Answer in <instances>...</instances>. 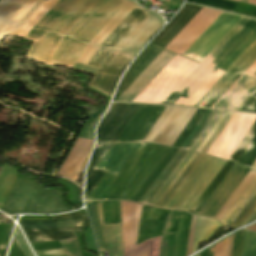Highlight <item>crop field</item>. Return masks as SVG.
I'll use <instances>...</instances> for the list:
<instances>
[{"label": "crop field", "instance_id": "1", "mask_svg": "<svg viewBox=\"0 0 256 256\" xmlns=\"http://www.w3.org/2000/svg\"><path fill=\"white\" fill-rule=\"evenodd\" d=\"M63 0L30 30L26 57L72 68L86 44L125 0Z\"/></svg>", "mask_w": 256, "mask_h": 256}, {"label": "crop field", "instance_id": "2", "mask_svg": "<svg viewBox=\"0 0 256 256\" xmlns=\"http://www.w3.org/2000/svg\"><path fill=\"white\" fill-rule=\"evenodd\" d=\"M168 147L140 144L117 175L106 172L86 199L130 200L168 151Z\"/></svg>", "mask_w": 256, "mask_h": 256}, {"label": "crop field", "instance_id": "3", "mask_svg": "<svg viewBox=\"0 0 256 256\" xmlns=\"http://www.w3.org/2000/svg\"><path fill=\"white\" fill-rule=\"evenodd\" d=\"M162 25L163 22L160 17L146 11L114 47L112 52L133 59L136 53L151 39ZM112 52L103 61L95 78L89 84L108 96H111L119 76L131 61V59Z\"/></svg>", "mask_w": 256, "mask_h": 256}, {"label": "crop field", "instance_id": "4", "mask_svg": "<svg viewBox=\"0 0 256 256\" xmlns=\"http://www.w3.org/2000/svg\"><path fill=\"white\" fill-rule=\"evenodd\" d=\"M256 28V20L243 17L237 25L222 39V41L178 86L174 93L189 99L191 95L207 80L226 58L250 35ZM212 63V64H211ZM215 67L213 69V67ZM213 69V71H211ZM172 93L163 103L174 104L180 97Z\"/></svg>", "mask_w": 256, "mask_h": 256}, {"label": "crop field", "instance_id": "5", "mask_svg": "<svg viewBox=\"0 0 256 256\" xmlns=\"http://www.w3.org/2000/svg\"><path fill=\"white\" fill-rule=\"evenodd\" d=\"M135 6V4L126 1L107 22V24L102 28V30L87 44L77 62L88 65L96 51L112 34V32L119 26V24L126 18V16L133 10ZM144 12L145 10L136 6L134 10L127 16V18L120 24V26L113 32V34L97 51V53L94 55L91 62L89 63V66L99 68L100 64L111 51V49L134 25V23L142 16Z\"/></svg>", "mask_w": 256, "mask_h": 256}, {"label": "crop field", "instance_id": "6", "mask_svg": "<svg viewBox=\"0 0 256 256\" xmlns=\"http://www.w3.org/2000/svg\"><path fill=\"white\" fill-rule=\"evenodd\" d=\"M29 241H53L76 237L74 232L85 227L79 212L52 216V220H19Z\"/></svg>", "mask_w": 256, "mask_h": 256}, {"label": "crop field", "instance_id": "7", "mask_svg": "<svg viewBox=\"0 0 256 256\" xmlns=\"http://www.w3.org/2000/svg\"><path fill=\"white\" fill-rule=\"evenodd\" d=\"M224 163V161L204 155L165 209L188 211Z\"/></svg>", "mask_w": 256, "mask_h": 256}, {"label": "crop field", "instance_id": "8", "mask_svg": "<svg viewBox=\"0 0 256 256\" xmlns=\"http://www.w3.org/2000/svg\"><path fill=\"white\" fill-rule=\"evenodd\" d=\"M197 109L167 106L143 142L172 146Z\"/></svg>", "mask_w": 256, "mask_h": 256}, {"label": "crop field", "instance_id": "9", "mask_svg": "<svg viewBox=\"0 0 256 256\" xmlns=\"http://www.w3.org/2000/svg\"><path fill=\"white\" fill-rule=\"evenodd\" d=\"M192 214L170 211L161 239L159 256H185Z\"/></svg>", "mask_w": 256, "mask_h": 256}, {"label": "crop field", "instance_id": "10", "mask_svg": "<svg viewBox=\"0 0 256 256\" xmlns=\"http://www.w3.org/2000/svg\"><path fill=\"white\" fill-rule=\"evenodd\" d=\"M45 0H1L0 41L7 34L15 36Z\"/></svg>", "mask_w": 256, "mask_h": 256}, {"label": "crop field", "instance_id": "11", "mask_svg": "<svg viewBox=\"0 0 256 256\" xmlns=\"http://www.w3.org/2000/svg\"><path fill=\"white\" fill-rule=\"evenodd\" d=\"M241 18L239 15L222 12L183 56L199 63Z\"/></svg>", "mask_w": 256, "mask_h": 256}, {"label": "crop field", "instance_id": "12", "mask_svg": "<svg viewBox=\"0 0 256 256\" xmlns=\"http://www.w3.org/2000/svg\"><path fill=\"white\" fill-rule=\"evenodd\" d=\"M255 119L253 114L235 113L207 155L227 160Z\"/></svg>", "mask_w": 256, "mask_h": 256}, {"label": "crop field", "instance_id": "13", "mask_svg": "<svg viewBox=\"0 0 256 256\" xmlns=\"http://www.w3.org/2000/svg\"><path fill=\"white\" fill-rule=\"evenodd\" d=\"M255 60L256 41L218 80V82L202 97V99L195 106L201 107L199 106L200 104H202L203 102H207L203 107L211 108Z\"/></svg>", "mask_w": 256, "mask_h": 256}, {"label": "crop field", "instance_id": "14", "mask_svg": "<svg viewBox=\"0 0 256 256\" xmlns=\"http://www.w3.org/2000/svg\"><path fill=\"white\" fill-rule=\"evenodd\" d=\"M249 171L250 169L234 164L198 214L214 218Z\"/></svg>", "mask_w": 256, "mask_h": 256}, {"label": "crop field", "instance_id": "15", "mask_svg": "<svg viewBox=\"0 0 256 256\" xmlns=\"http://www.w3.org/2000/svg\"><path fill=\"white\" fill-rule=\"evenodd\" d=\"M165 108L140 105L115 142H142Z\"/></svg>", "mask_w": 256, "mask_h": 256}, {"label": "crop field", "instance_id": "16", "mask_svg": "<svg viewBox=\"0 0 256 256\" xmlns=\"http://www.w3.org/2000/svg\"><path fill=\"white\" fill-rule=\"evenodd\" d=\"M139 105L112 103L97 130V142H114Z\"/></svg>", "mask_w": 256, "mask_h": 256}, {"label": "crop field", "instance_id": "17", "mask_svg": "<svg viewBox=\"0 0 256 256\" xmlns=\"http://www.w3.org/2000/svg\"><path fill=\"white\" fill-rule=\"evenodd\" d=\"M220 13V11L204 8L166 50L178 55L182 54Z\"/></svg>", "mask_w": 256, "mask_h": 256}, {"label": "crop field", "instance_id": "18", "mask_svg": "<svg viewBox=\"0 0 256 256\" xmlns=\"http://www.w3.org/2000/svg\"><path fill=\"white\" fill-rule=\"evenodd\" d=\"M245 73L256 78L252 74ZM246 74L237 81L213 108L236 110L244 102L256 89V79Z\"/></svg>", "mask_w": 256, "mask_h": 256}, {"label": "crop field", "instance_id": "19", "mask_svg": "<svg viewBox=\"0 0 256 256\" xmlns=\"http://www.w3.org/2000/svg\"><path fill=\"white\" fill-rule=\"evenodd\" d=\"M201 9L202 7L185 4L176 17L151 43L164 48Z\"/></svg>", "mask_w": 256, "mask_h": 256}, {"label": "crop field", "instance_id": "20", "mask_svg": "<svg viewBox=\"0 0 256 256\" xmlns=\"http://www.w3.org/2000/svg\"><path fill=\"white\" fill-rule=\"evenodd\" d=\"M162 49L149 44L137 57L122 79L113 101L141 74V72L156 58Z\"/></svg>", "mask_w": 256, "mask_h": 256}, {"label": "crop field", "instance_id": "21", "mask_svg": "<svg viewBox=\"0 0 256 256\" xmlns=\"http://www.w3.org/2000/svg\"><path fill=\"white\" fill-rule=\"evenodd\" d=\"M139 144H113L97 168L117 174Z\"/></svg>", "mask_w": 256, "mask_h": 256}, {"label": "crop field", "instance_id": "22", "mask_svg": "<svg viewBox=\"0 0 256 256\" xmlns=\"http://www.w3.org/2000/svg\"><path fill=\"white\" fill-rule=\"evenodd\" d=\"M98 207L99 219L102 227L103 237L108 250V256H123L120 224L103 225L100 202H98Z\"/></svg>", "mask_w": 256, "mask_h": 256}, {"label": "crop field", "instance_id": "23", "mask_svg": "<svg viewBox=\"0 0 256 256\" xmlns=\"http://www.w3.org/2000/svg\"><path fill=\"white\" fill-rule=\"evenodd\" d=\"M111 145L112 144H97L92 154L87 171L85 198L105 173V171H102L95 167L105 155V153L108 151V149L111 147Z\"/></svg>", "mask_w": 256, "mask_h": 256}, {"label": "crop field", "instance_id": "24", "mask_svg": "<svg viewBox=\"0 0 256 256\" xmlns=\"http://www.w3.org/2000/svg\"><path fill=\"white\" fill-rule=\"evenodd\" d=\"M202 156V154H194V156L191 158V160L188 162V164L185 166V168L182 170V172L179 174L176 180L172 183V185L169 187V189L157 203V207H165V205L168 203V201L171 199V197L174 195V193L177 191V189L180 187L183 181L187 178V176L190 174V172L202 158Z\"/></svg>", "mask_w": 256, "mask_h": 256}, {"label": "crop field", "instance_id": "25", "mask_svg": "<svg viewBox=\"0 0 256 256\" xmlns=\"http://www.w3.org/2000/svg\"><path fill=\"white\" fill-rule=\"evenodd\" d=\"M178 149L170 148L166 155L162 158L156 168L152 171L149 177L145 180L139 190L132 197L131 201L138 202L142 195L146 192L149 186L153 183L156 177L160 174L163 168L167 165L170 159L174 156Z\"/></svg>", "mask_w": 256, "mask_h": 256}, {"label": "crop field", "instance_id": "26", "mask_svg": "<svg viewBox=\"0 0 256 256\" xmlns=\"http://www.w3.org/2000/svg\"><path fill=\"white\" fill-rule=\"evenodd\" d=\"M193 154L194 152H186V154L183 156V158L180 160V162L177 164V166L174 168V170L171 172L168 178L164 181V183L161 185V187L149 201L148 205H156V203L159 201V199L162 197V195L165 193V191L168 189V187L171 185L174 179L178 176V174L181 172V170L193 156Z\"/></svg>", "mask_w": 256, "mask_h": 256}, {"label": "crop field", "instance_id": "27", "mask_svg": "<svg viewBox=\"0 0 256 256\" xmlns=\"http://www.w3.org/2000/svg\"><path fill=\"white\" fill-rule=\"evenodd\" d=\"M59 242L62 246V249L35 251L37 256H58V255L81 256L76 238L62 240Z\"/></svg>", "mask_w": 256, "mask_h": 256}, {"label": "crop field", "instance_id": "28", "mask_svg": "<svg viewBox=\"0 0 256 256\" xmlns=\"http://www.w3.org/2000/svg\"><path fill=\"white\" fill-rule=\"evenodd\" d=\"M234 113L230 112H224V114L221 116V118L218 120L216 125L213 127L211 132L208 134V136L205 138L203 143L198 148L197 152H201L206 154V152L209 150L211 145L214 143L216 138L219 136L223 128L226 126L228 121L231 119Z\"/></svg>", "mask_w": 256, "mask_h": 256}, {"label": "crop field", "instance_id": "29", "mask_svg": "<svg viewBox=\"0 0 256 256\" xmlns=\"http://www.w3.org/2000/svg\"><path fill=\"white\" fill-rule=\"evenodd\" d=\"M255 189H256V176L248 185V187L244 190V192L241 194V196L238 198V200L231 207V209L228 211V213L225 215V217L222 219L220 223L224 224L227 227L228 224L232 221V219L235 217L238 211L242 208V206L245 204V202L248 200V198L251 196V194Z\"/></svg>", "mask_w": 256, "mask_h": 256}, {"label": "crop field", "instance_id": "30", "mask_svg": "<svg viewBox=\"0 0 256 256\" xmlns=\"http://www.w3.org/2000/svg\"><path fill=\"white\" fill-rule=\"evenodd\" d=\"M232 163L226 162L225 165L222 167V169L218 172V174L215 176V178L211 181V183L208 185V187L204 190V192L200 195V197L197 199V201L193 204V206L190 208L189 211L191 212H197V210L200 208V206L204 203V201L207 199V197L211 194V192L214 190V188L218 185V183L222 180V178L225 176V174L229 171V169L232 167Z\"/></svg>", "mask_w": 256, "mask_h": 256}, {"label": "crop field", "instance_id": "31", "mask_svg": "<svg viewBox=\"0 0 256 256\" xmlns=\"http://www.w3.org/2000/svg\"><path fill=\"white\" fill-rule=\"evenodd\" d=\"M255 175H256V171L251 170L250 173L247 175V177L243 180L240 186L236 189V191L230 197V199L226 202L223 208L216 215L215 219H217L219 222L221 221V219L224 217V215L227 213L230 207L234 204V202L237 200V198L240 196V194L247 187V185L250 183V181L253 179Z\"/></svg>", "mask_w": 256, "mask_h": 256}, {"label": "crop field", "instance_id": "32", "mask_svg": "<svg viewBox=\"0 0 256 256\" xmlns=\"http://www.w3.org/2000/svg\"><path fill=\"white\" fill-rule=\"evenodd\" d=\"M223 74L224 72L217 69L184 105L194 106Z\"/></svg>", "mask_w": 256, "mask_h": 256}, {"label": "crop field", "instance_id": "33", "mask_svg": "<svg viewBox=\"0 0 256 256\" xmlns=\"http://www.w3.org/2000/svg\"><path fill=\"white\" fill-rule=\"evenodd\" d=\"M256 40V29L252 34L229 56V58L219 67L227 71L232 64L247 50V48Z\"/></svg>", "mask_w": 256, "mask_h": 256}, {"label": "crop field", "instance_id": "34", "mask_svg": "<svg viewBox=\"0 0 256 256\" xmlns=\"http://www.w3.org/2000/svg\"><path fill=\"white\" fill-rule=\"evenodd\" d=\"M256 219V195L245 207L230 228H237Z\"/></svg>", "mask_w": 256, "mask_h": 256}, {"label": "crop field", "instance_id": "35", "mask_svg": "<svg viewBox=\"0 0 256 256\" xmlns=\"http://www.w3.org/2000/svg\"><path fill=\"white\" fill-rule=\"evenodd\" d=\"M104 223H120L119 201L102 202Z\"/></svg>", "mask_w": 256, "mask_h": 256}, {"label": "crop field", "instance_id": "36", "mask_svg": "<svg viewBox=\"0 0 256 256\" xmlns=\"http://www.w3.org/2000/svg\"><path fill=\"white\" fill-rule=\"evenodd\" d=\"M255 159H256V134L252 138V140L249 142V144L244 149V151L242 152V154L239 156V158L236 160L235 163L250 168V166L253 164Z\"/></svg>", "mask_w": 256, "mask_h": 256}, {"label": "crop field", "instance_id": "37", "mask_svg": "<svg viewBox=\"0 0 256 256\" xmlns=\"http://www.w3.org/2000/svg\"><path fill=\"white\" fill-rule=\"evenodd\" d=\"M204 112H205V110L198 109V111L195 113L193 118L190 120V122L188 123L186 128L183 130L181 135L178 137L176 142L173 144L174 147L180 148V146L185 141V139L187 138V136L189 135L191 130L194 128V126L196 125V123L198 122V120L200 119V117L203 115Z\"/></svg>", "mask_w": 256, "mask_h": 256}, {"label": "crop field", "instance_id": "38", "mask_svg": "<svg viewBox=\"0 0 256 256\" xmlns=\"http://www.w3.org/2000/svg\"><path fill=\"white\" fill-rule=\"evenodd\" d=\"M242 256H256V233L246 230Z\"/></svg>", "mask_w": 256, "mask_h": 256}, {"label": "crop field", "instance_id": "39", "mask_svg": "<svg viewBox=\"0 0 256 256\" xmlns=\"http://www.w3.org/2000/svg\"><path fill=\"white\" fill-rule=\"evenodd\" d=\"M256 133V121L254 122V124L251 126V128L249 129V131L246 133V135L244 136V138L241 140V142L238 144V146L236 147V149L233 151V153L231 154V156L228 158L229 161H233L235 162V160L238 158V156L241 154V152L243 151V149L246 147V145L248 144V142L251 140V138L254 136V134Z\"/></svg>", "mask_w": 256, "mask_h": 256}, {"label": "crop field", "instance_id": "40", "mask_svg": "<svg viewBox=\"0 0 256 256\" xmlns=\"http://www.w3.org/2000/svg\"><path fill=\"white\" fill-rule=\"evenodd\" d=\"M223 114V112L220 111H216V113L213 115V117L211 118V120L208 122V124L206 125V127L203 129V131L200 133V135L198 136V138L195 140V142L193 143V145L190 147L191 150L196 151V149L199 147V145L202 143V141L204 140V138L207 136V134L209 133V131L212 129V127L215 125V123L217 122V120L220 118V116ZM198 150V149H197Z\"/></svg>", "mask_w": 256, "mask_h": 256}, {"label": "crop field", "instance_id": "41", "mask_svg": "<svg viewBox=\"0 0 256 256\" xmlns=\"http://www.w3.org/2000/svg\"><path fill=\"white\" fill-rule=\"evenodd\" d=\"M187 1L208 5V6L224 9V10H230V11H234L235 7L237 6L236 3H232L225 0H187Z\"/></svg>", "mask_w": 256, "mask_h": 256}, {"label": "crop field", "instance_id": "42", "mask_svg": "<svg viewBox=\"0 0 256 256\" xmlns=\"http://www.w3.org/2000/svg\"><path fill=\"white\" fill-rule=\"evenodd\" d=\"M85 204L88 208V212H89L91 221L93 223L94 232H95V236H96V239H97V242H98L99 250L102 251L103 249H102V246H101L100 235H99V231H98V227H97V223H96V217H95L93 202L85 201Z\"/></svg>", "mask_w": 256, "mask_h": 256}, {"label": "crop field", "instance_id": "43", "mask_svg": "<svg viewBox=\"0 0 256 256\" xmlns=\"http://www.w3.org/2000/svg\"><path fill=\"white\" fill-rule=\"evenodd\" d=\"M244 231L245 230L242 229V230L235 233L234 242H233L232 256H241Z\"/></svg>", "mask_w": 256, "mask_h": 256}, {"label": "crop field", "instance_id": "44", "mask_svg": "<svg viewBox=\"0 0 256 256\" xmlns=\"http://www.w3.org/2000/svg\"><path fill=\"white\" fill-rule=\"evenodd\" d=\"M181 151H182L181 149L178 150V152L175 154V156L171 159V161L168 163V165L164 168V170L161 172V174L157 177V179L154 181V183L150 186V188L147 190V192L140 199V201H139L140 203L144 202V200L147 198V196L150 194V192L153 190V188L156 186V184L159 182V180L162 178V176L166 173V171L169 169V167L172 165V163L175 161V159L181 153Z\"/></svg>", "mask_w": 256, "mask_h": 256}, {"label": "crop field", "instance_id": "45", "mask_svg": "<svg viewBox=\"0 0 256 256\" xmlns=\"http://www.w3.org/2000/svg\"><path fill=\"white\" fill-rule=\"evenodd\" d=\"M237 110L249 112H254L256 110V90Z\"/></svg>", "mask_w": 256, "mask_h": 256}, {"label": "crop field", "instance_id": "46", "mask_svg": "<svg viewBox=\"0 0 256 256\" xmlns=\"http://www.w3.org/2000/svg\"><path fill=\"white\" fill-rule=\"evenodd\" d=\"M14 236H15L20 248L22 249L24 255L25 256H33L18 227H16V229H15Z\"/></svg>", "mask_w": 256, "mask_h": 256}, {"label": "crop field", "instance_id": "47", "mask_svg": "<svg viewBox=\"0 0 256 256\" xmlns=\"http://www.w3.org/2000/svg\"><path fill=\"white\" fill-rule=\"evenodd\" d=\"M185 152H186L185 150L182 151V153L179 155V157L176 159V161L173 163V165L170 167V169L167 171V173L164 175V177L160 180V182L157 184V186L154 188V190L151 192V194L145 200V202H144L145 204L148 203V201L151 199V197L154 195V193L157 191V189L160 187V185L163 183V181L166 179V177L170 174V172L173 170V168L176 166V164L179 162V160L185 154Z\"/></svg>", "mask_w": 256, "mask_h": 256}, {"label": "crop field", "instance_id": "48", "mask_svg": "<svg viewBox=\"0 0 256 256\" xmlns=\"http://www.w3.org/2000/svg\"><path fill=\"white\" fill-rule=\"evenodd\" d=\"M196 219H197V216L193 214L192 222H191V227H190V233H189L188 247H187V254H186V256L191 254L193 237H194V231H195V225H196Z\"/></svg>", "mask_w": 256, "mask_h": 256}, {"label": "crop field", "instance_id": "49", "mask_svg": "<svg viewBox=\"0 0 256 256\" xmlns=\"http://www.w3.org/2000/svg\"><path fill=\"white\" fill-rule=\"evenodd\" d=\"M215 113L214 110H211V112L209 113V115L206 117V119L204 120V122L202 123V125L199 127V129L197 130V132L195 133V135L192 137V139L190 140V142L188 143V145L185 147V149H189V147L192 145V143L194 142V140L197 138V136L199 135V133L202 131V129L205 127V125L207 124V122L210 120V118L212 117V115Z\"/></svg>", "mask_w": 256, "mask_h": 256}, {"label": "crop field", "instance_id": "50", "mask_svg": "<svg viewBox=\"0 0 256 256\" xmlns=\"http://www.w3.org/2000/svg\"><path fill=\"white\" fill-rule=\"evenodd\" d=\"M210 112V110H206V112L204 113V115L201 117V119L199 120V122L197 123V125L195 126V128L192 130V132L190 133V135L188 136V138L186 139V141L183 143V145L181 146L182 149H184V147L186 146V144L189 142V140L191 139V137L193 136V134L196 132V130L198 129V127L200 126V124L203 122V120L205 119V117L207 116V114Z\"/></svg>", "mask_w": 256, "mask_h": 256}, {"label": "crop field", "instance_id": "51", "mask_svg": "<svg viewBox=\"0 0 256 256\" xmlns=\"http://www.w3.org/2000/svg\"><path fill=\"white\" fill-rule=\"evenodd\" d=\"M94 204H95V210H96L97 222H98V226H99V230H100V234H101L102 245H103V247H104V250H106L105 243H104V240H103V237H102V232H101V227H100L99 219H98V208H97V202H95V201H94Z\"/></svg>", "mask_w": 256, "mask_h": 256}, {"label": "crop field", "instance_id": "52", "mask_svg": "<svg viewBox=\"0 0 256 256\" xmlns=\"http://www.w3.org/2000/svg\"><path fill=\"white\" fill-rule=\"evenodd\" d=\"M228 238H229V237H228ZM228 238L224 239L223 256H227V250H228Z\"/></svg>", "mask_w": 256, "mask_h": 256}, {"label": "crop field", "instance_id": "53", "mask_svg": "<svg viewBox=\"0 0 256 256\" xmlns=\"http://www.w3.org/2000/svg\"><path fill=\"white\" fill-rule=\"evenodd\" d=\"M247 72H250L254 74L256 72V61L253 63V65L247 70Z\"/></svg>", "mask_w": 256, "mask_h": 256}, {"label": "crop field", "instance_id": "54", "mask_svg": "<svg viewBox=\"0 0 256 256\" xmlns=\"http://www.w3.org/2000/svg\"><path fill=\"white\" fill-rule=\"evenodd\" d=\"M234 236V235H233ZM233 236L230 237V244H229V251L228 256H231V250H232V242H233Z\"/></svg>", "mask_w": 256, "mask_h": 256}, {"label": "crop field", "instance_id": "55", "mask_svg": "<svg viewBox=\"0 0 256 256\" xmlns=\"http://www.w3.org/2000/svg\"><path fill=\"white\" fill-rule=\"evenodd\" d=\"M247 229H249V230H253V231H256V225L251 226V227H248Z\"/></svg>", "mask_w": 256, "mask_h": 256}, {"label": "crop field", "instance_id": "56", "mask_svg": "<svg viewBox=\"0 0 256 256\" xmlns=\"http://www.w3.org/2000/svg\"><path fill=\"white\" fill-rule=\"evenodd\" d=\"M251 169L256 170V161H255L254 164L251 166Z\"/></svg>", "mask_w": 256, "mask_h": 256}, {"label": "crop field", "instance_id": "57", "mask_svg": "<svg viewBox=\"0 0 256 256\" xmlns=\"http://www.w3.org/2000/svg\"><path fill=\"white\" fill-rule=\"evenodd\" d=\"M208 256H213V251L210 252V249H208Z\"/></svg>", "mask_w": 256, "mask_h": 256}, {"label": "crop field", "instance_id": "58", "mask_svg": "<svg viewBox=\"0 0 256 256\" xmlns=\"http://www.w3.org/2000/svg\"><path fill=\"white\" fill-rule=\"evenodd\" d=\"M206 254H207V251H205V252L199 254V256H206Z\"/></svg>", "mask_w": 256, "mask_h": 256}, {"label": "crop field", "instance_id": "59", "mask_svg": "<svg viewBox=\"0 0 256 256\" xmlns=\"http://www.w3.org/2000/svg\"><path fill=\"white\" fill-rule=\"evenodd\" d=\"M241 1H242V2H246V3H248V1H249V0H241Z\"/></svg>", "mask_w": 256, "mask_h": 256}, {"label": "crop field", "instance_id": "60", "mask_svg": "<svg viewBox=\"0 0 256 256\" xmlns=\"http://www.w3.org/2000/svg\"><path fill=\"white\" fill-rule=\"evenodd\" d=\"M256 112V111H255Z\"/></svg>", "mask_w": 256, "mask_h": 256}]
</instances>
